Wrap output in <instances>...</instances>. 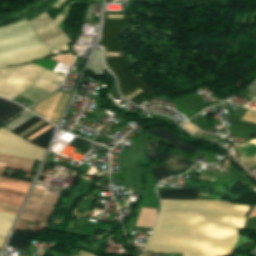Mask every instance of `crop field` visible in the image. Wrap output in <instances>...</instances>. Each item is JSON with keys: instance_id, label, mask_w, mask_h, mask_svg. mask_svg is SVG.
Returning <instances> with one entry per match:
<instances>
[{"instance_id": "22f410ed", "label": "crop field", "mask_w": 256, "mask_h": 256, "mask_svg": "<svg viewBox=\"0 0 256 256\" xmlns=\"http://www.w3.org/2000/svg\"><path fill=\"white\" fill-rule=\"evenodd\" d=\"M23 111V108L0 98V122Z\"/></svg>"}, {"instance_id": "733c2abd", "label": "crop field", "mask_w": 256, "mask_h": 256, "mask_svg": "<svg viewBox=\"0 0 256 256\" xmlns=\"http://www.w3.org/2000/svg\"><path fill=\"white\" fill-rule=\"evenodd\" d=\"M35 115L26 111L24 114H22L20 117L12 121L10 124H8L5 128L9 129L10 131L14 128L18 127L19 125L23 124L27 120L31 119Z\"/></svg>"}, {"instance_id": "214f88e0", "label": "crop field", "mask_w": 256, "mask_h": 256, "mask_svg": "<svg viewBox=\"0 0 256 256\" xmlns=\"http://www.w3.org/2000/svg\"><path fill=\"white\" fill-rule=\"evenodd\" d=\"M183 126L192 134L196 133L197 131H199L195 126L190 125L188 123L183 124Z\"/></svg>"}, {"instance_id": "5a996713", "label": "crop field", "mask_w": 256, "mask_h": 256, "mask_svg": "<svg viewBox=\"0 0 256 256\" xmlns=\"http://www.w3.org/2000/svg\"><path fill=\"white\" fill-rule=\"evenodd\" d=\"M69 94L56 93L46 100L35 106L34 111L47 117L53 122H57L67 100Z\"/></svg>"}, {"instance_id": "8a807250", "label": "crop field", "mask_w": 256, "mask_h": 256, "mask_svg": "<svg viewBox=\"0 0 256 256\" xmlns=\"http://www.w3.org/2000/svg\"><path fill=\"white\" fill-rule=\"evenodd\" d=\"M160 199H198L197 188L157 191ZM161 212L145 249L183 256L227 253L251 207L223 201L160 200Z\"/></svg>"}, {"instance_id": "cbeb9de0", "label": "crop field", "mask_w": 256, "mask_h": 256, "mask_svg": "<svg viewBox=\"0 0 256 256\" xmlns=\"http://www.w3.org/2000/svg\"><path fill=\"white\" fill-rule=\"evenodd\" d=\"M16 215L0 212V236L6 237Z\"/></svg>"}, {"instance_id": "92a150f3", "label": "crop field", "mask_w": 256, "mask_h": 256, "mask_svg": "<svg viewBox=\"0 0 256 256\" xmlns=\"http://www.w3.org/2000/svg\"><path fill=\"white\" fill-rule=\"evenodd\" d=\"M79 252H80L81 256H93V255L90 254V253L81 252V251H79Z\"/></svg>"}, {"instance_id": "3316defc", "label": "crop field", "mask_w": 256, "mask_h": 256, "mask_svg": "<svg viewBox=\"0 0 256 256\" xmlns=\"http://www.w3.org/2000/svg\"><path fill=\"white\" fill-rule=\"evenodd\" d=\"M42 121L40 118L35 117L33 119H31L30 121L24 123L23 125H21L20 127L16 128L15 130H13L12 132L16 135H19L20 133L24 132L25 130L29 129L30 127H32L33 125L37 124L38 122ZM44 122L38 124L37 126L31 128L30 130L26 131L25 133L21 134V135H26L27 133L31 132L32 130H34L35 128H37L38 126L42 125ZM50 124H46L42 127H40L39 129L31 132L30 134L24 136L23 139H27L29 137H31L32 135L36 134L37 132H39L40 130L44 129L45 127L49 126ZM52 127H47L46 129L42 130L41 132H39L38 134H36L35 136L31 137L29 140H32L34 138H36L37 136H39L40 134L44 133L45 131H47L48 129H50ZM53 129H51L50 131L46 132L45 134H43L42 136H40L39 138L35 139L34 141H32L31 143L37 144L39 146H42L44 148L47 147L49 140L51 138V134H52ZM20 136V135H19Z\"/></svg>"}, {"instance_id": "d1516ede", "label": "crop field", "mask_w": 256, "mask_h": 256, "mask_svg": "<svg viewBox=\"0 0 256 256\" xmlns=\"http://www.w3.org/2000/svg\"><path fill=\"white\" fill-rule=\"evenodd\" d=\"M34 234L35 232L15 229L7 245L27 249Z\"/></svg>"}, {"instance_id": "5142ce71", "label": "crop field", "mask_w": 256, "mask_h": 256, "mask_svg": "<svg viewBox=\"0 0 256 256\" xmlns=\"http://www.w3.org/2000/svg\"><path fill=\"white\" fill-rule=\"evenodd\" d=\"M20 95L34 103L42 97L46 96L47 94L30 87L24 92H22Z\"/></svg>"}, {"instance_id": "dd49c442", "label": "crop field", "mask_w": 256, "mask_h": 256, "mask_svg": "<svg viewBox=\"0 0 256 256\" xmlns=\"http://www.w3.org/2000/svg\"><path fill=\"white\" fill-rule=\"evenodd\" d=\"M0 153L41 161L45 150L0 128Z\"/></svg>"}, {"instance_id": "f4fd0767", "label": "crop field", "mask_w": 256, "mask_h": 256, "mask_svg": "<svg viewBox=\"0 0 256 256\" xmlns=\"http://www.w3.org/2000/svg\"><path fill=\"white\" fill-rule=\"evenodd\" d=\"M146 187L136 217L131 218L129 228L152 230L158 213V202L154 194L150 173L145 174Z\"/></svg>"}, {"instance_id": "4a817a6b", "label": "crop field", "mask_w": 256, "mask_h": 256, "mask_svg": "<svg viewBox=\"0 0 256 256\" xmlns=\"http://www.w3.org/2000/svg\"><path fill=\"white\" fill-rule=\"evenodd\" d=\"M86 143L87 141L85 140H82L80 138H74L72 142L69 144V146L87 152L90 149V147L86 146Z\"/></svg>"}, {"instance_id": "34b2d1b8", "label": "crop field", "mask_w": 256, "mask_h": 256, "mask_svg": "<svg viewBox=\"0 0 256 256\" xmlns=\"http://www.w3.org/2000/svg\"><path fill=\"white\" fill-rule=\"evenodd\" d=\"M51 50L39 41L25 20L0 28V67L51 56Z\"/></svg>"}, {"instance_id": "d8731c3e", "label": "crop field", "mask_w": 256, "mask_h": 256, "mask_svg": "<svg viewBox=\"0 0 256 256\" xmlns=\"http://www.w3.org/2000/svg\"><path fill=\"white\" fill-rule=\"evenodd\" d=\"M158 148L157 144L146 140V158L160 159L171 174L180 172L194 164L184 158L162 153Z\"/></svg>"}, {"instance_id": "e52e79f7", "label": "crop field", "mask_w": 256, "mask_h": 256, "mask_svg": "<svg viewBox=\"0 0 256 256\" xmlns=\"http://www.w3.org/2000/svg\"><path fill=\"white\" fill-rule=\"evenodd\" d=\"M41 41L56 49L70 42L69 38L44 14L30 22Z\"/></svg>"}, {"instance_id": "bc2a9ffb", "label": "crop field", "mask_w": 256, "mask_h": 256, "mask_svg": "<svg viewBox=\"0 0 256 256\" xmlns=\"http://www.w3.org/2000/svg\"><path fill=\"white\" fill-rule=\"evenodd\" d=\"M244 120L256 122V111L247 110L245 116L243 117Z\"/></svg>"}, {"instance_id": "412701ff", "label": "crop field", "mask_w": 256, "mask_h": 256, "mask_svg": "<svg viewBox=\"0 0 256 256\" xmlns=\"http://www.w3.org/2000/svg\"><path fill=\"white\" fill-rule=\"evenodd\" d=\"M45 71L33 64L0 69V96L15 98Z\"/></svg>"}, {"instance_id": "28ad6ade", "label": "crop field", "mask_w": 256, "mask_h": 256, "mask_svg": "<svg viewBox=\"0 0 256 256\" xmlns=\"http://www.w3.org/2000/svg\"><path fill=\"white\" fill-rule=\"evenodd\" d=\"M146 131L170 143L174 147L182 150L183 152H189V153L195 154L196 148L194 146L186 143H180L179 141L176 140V138L172 135V133L167 129L154 128Z\"/></svg>"}, {"instance_id": "d9b57169", "label": "crop field", "mask_w": 256, "mask_h": 256, "mask_svg": "<svg viewBox=\"0 0 256 256\" xmlns=\"http://www.w3.org/2000/svg\"><path fill=\"white\" fill-rule=\"evenodd\" d=\"M151 169L153 177L155 179V185H157L159 180L171 176V174L165 169L163 164L153 167Z\"/></svg>"}, {"instance_id": "ac0d7876", "label": "crop field", "mask_w": 256, "mask_h": 256, "mask_svg": "<svg viewBox=\"0 0 256 256\" xmlns=\"http://www.w3.org/2000/svg\"><path fill=\"white\" fill-rule=\"evenodd\" d=\"M108 14H124V19H108ZM109 18H123V15H109ZM131 26L130 19L127 13H104V22L102 28V39L100 45L106 49V57L119 56L120 61H106L108 67L116 74L121 93L135 104H140L142 101H149L153 95L149 91L142 78L133 75L128 62L123 55L120 35L126 33ZM106 60H119L118 57L106 58Z\"/></svg>"}]
</instances>
